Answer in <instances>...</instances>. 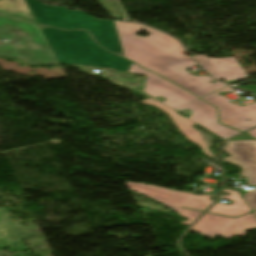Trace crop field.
I'll return each instance as SVG.
<instances>
[{"label":"crop field","instance_id":"crop-field-2","mask_svg":"<svg viewBox=\"0 0 256 256\" xmlns=\"http://www.w3.org/2000/svg\"><path fill=\"white\" fill-rule=\"evenodd\" d=\"M40 27L60 64L74 63L97 66L99 69L109 67L127 73L132 63L97 46L87 32Z\"/></svg>","mask_w":256,"mask_h":256},{"label":"crop field","instance_id":"crop-field-6","mask_svg":"<svg viewBox=\"0 0 256 256\" xmlns=\"http://www.w3.org/2000/svg\"><path fill=\"white\" fill-rule=\"evenodd\" d=\"M219 92L233 91L231 87L227 86L201 99L218 107L222 124L241 131L256 126V103L249 104L245 107L232 105L228 102L231 99L217 95Z\"/></svg>","mask_w":256,"mask_h":256},{"label":"crop field","instance_id":"crop-field-3","mask_svg":"<svg viewBox=\"0 0 256 256\" xmlns=\"http://www.w3.org/2000/svg\"><path fill=\"white\" fill-rule=\"evenodd\" d=\"M25 1L38 23L62 29L89 31L101 47L124 57L113 20H97L81 11H69L65 7L48 6L39 0Z\"/></svg>","mask_w":256,"mask_h":256},{"label":"crop field","instance_id":"crop-field-20","mask_svg":"<svg viewBox=\"0 0 256 256\" xmlns=\"http://www.w3.org/2000/svg\"><path fill=\"white\" fill-rule=\"evenodd\" d=\"M251 139L247 134L239 135L231 140Z\"/></svg>","mask_w":256,"mask_h":256},{"label":"crop field","instance_id":"crop-field-11","mask_svg":"<svg viewBox=\"0 0 256 256\" xmlns=\"http://www.w3.org/2000/svg\"><path fill=\"white\" fill-rule=\"evenodd\" d=\"M141 103L144 105H151V106L163 111L167 115H169L172 122L177 127V129L187 138V140H189L192 143H194L195 145L199 146L205 155L213 158L214 160L216 159L214 157L213 153L208 151V147L206 146L204 141L201 139V137L199 136V134L197 133L195 128L192 127L197 124H195L194 122L188 120L187 118L179 115L173 109L167 107L166 105L162 104L161 102H159L153 98H149L145 101H142Z\"/></svg>","mask_w":256,"mask_h":256},{"label":"crop field","instance_id":"crop-field-1","mask_svg":"<svg viewBox=\"0 0 256 256\" xmlns=\"http://www.w3.org/2000/svg\"><path fill=\"white\" fill-rule=\"evenodd\" d=\"M125 58L139 66L157 73L164 78L186 88L198 97L218 90L226 85L208 76H193L185 69L195 65L191 56L182 54L183 47L172 37L139 24L114 21ZM146 30L148 37L136 36Z\"/></svg>","mask_w":256,"mask_h":256},{"label":"crop field","instance_id":"crop-field-15","mask_svg":"<svg viewBox=\"0 0 256 256\" xmlns=\"http://www.w3.org/2000/svg\"><path fill=\"white\" fill-rule=\"evenodd\" d=\"M24 62L31 64L58 63L51 47L33 50L29 48L18 49Z\"/></svg>","mask_w":256,"mask_h":256},{"label":"crop field","instance_id":"crop-field-8","mask_svg":"<svg viewBox=\"0 0 256 256\" xmlns=\"http://www.w3.org/2000/svg\"><path fill=\"white\" fill-rule=\"evenodd\" d=\"M225 146L224 152L231 157L223 160L241 167V176L247 177L248 184L256 185V140L228 141Z\"/></svg>","mask_w":256,"mask_h":256},{"label":"crop field","instance_id":"crop-field-9","mask_svg":"<svg viewBox=\"0 0 256 256\" xmlns=\"http://www.w3.org/2000/svg\"><path fill=\"white\" fill-rule=\"evenodd\" d=\"M184 109H190L192 111V116L188 117L189 119L202 125L225 140L230 136L240 133L237 130L218 124L215 108L200 99L175 110L178 111Z\"/></svg>","mask_w":256,"mask_h":256},{"label":"crop field","instance_id":"crop-field-14","mask_svg":"<svg viewBox=\"0 0 256 256\" xmlns=\"http://www.w3.org/2000/svg\"><path fill=\"white\" fill-rule=\"evenodd\" d=\"M218 72L227 81L229 80H241L247 77V74L236 61L235 58H225V59H214L209 58ZM220 62V63H217Z\"/></svg>","mask_w":256,"mask_h":256},{"label":"crop field","instance_id":"crop-field-16","mask_svg":"<svg viewBox=\"0 0 256 256\" xmlns=\"http://www.w3.org/2000/svg\"><path fill=\"white\" fill-rule=\"evenodd\" d=\"M0 10L36 22L24 0H0Z\"/></svg>","mask_w":256,"mask_h":256},{"label":"crop field","instance_id":"crop-field-4","mask_svg":"<svg viewBox=\"0 0 256 256\" xmlns=\"http://www.w3.org/2000/svg\"><path fill=\"white\" fill-rule=\"evenodd\" d=\"M132 191L143 194L164 206L175 210L179 215L189 219L187 222L179 224L190 225L201 213H203L214 201L210 198L213 195H193L187 192H178L158 186L145 185L146 183L126 182Z\"/></svg>","mask_w":256,"mask_h":256},{"label":"crop field","instance_id":"crop-field-7","mask_svg":"<svg viewBox=\"0 0 256 256\" xmlns=\"http://www.w3.org/2000/svg\"><path fill=\"white\" fill-rule=\"evenodd\" d=\"M129 72L146 75L148 78L145 81L144 92L152 95L154 98L163 96L167 101L163 102L169 107L175 109L183 106L195 99L196 96L182 90L173 83L149 72L139 68L136 64H132Z\"/></svg>","mask_w":256,"mask_h":256},{"label":"crop field","instance_id":"crop-field-17","mask_svg":"<svg viewBox=\"0 0 256 256\" xmlns=\"http://www.w3.org/2000/svg\"><path fill=\"white\" fill-rule=\"evenodd\" d=\"M16 40L9 41L7 43H2L0 45V56H7V57L21 59L16 48H22V46L14 44Z\"/></svg>","mask_w":256,"mask_h":256},{"label":"crop field","instance_id":"crop-field-5","mask_svg":"<svg viewBox=\"0 0 256 256\" xmlns=\"http://www.w3.org/2000/svg\"><path fill=\"white\" fill-rule=\"evenodd\" d=\"M254 228H256V217L253 213L237 219L205 213L189 231L211 239L217 235L230 239L233 235L243 236L246 230Z\"/></svg>","mask_w":256,"mask_h":256},{"label":"crop field","instance_id":"crop-field-18","mask_svg":"<svg viewBox=\"0 0 256 256\" xmlns=\"http://www.w3.org/2000/svg\"><path fill=\"white\" fill-rule=\"evenodd\" d=\"M193 57L200 65H202L203 69L210 73L214 78L218 80L223 79L205 55H193Z\"/></svg>","mask_w":256,"mask_h":256},{"label":"crop field","instance_id":"crop-field-21","mask_svg":"<svg viewBox=\"0 0 256 256\" xmlns=\"http://www.w3.org/2000/svg\"><path fill=\"white\" fill-rule=\"evenodd\" d=\"M0 248H7L5 241L3 239V236L1 234V231H0Z\"/></svg>","mask_w":256,"mask_h":256},{"label":"crop field","instance_id":"crop-field-19","mask_svg":"<svg viewBox=\"0 0 256 256\" xmlns=\"http://www.w3.org/2000/svg\"><path fill=\"white\" fill-rule=\"evenodd\" d=\"M243 198L248 204L251 211L256 210V188L254 191L245 193Z\"/></svg>","mask_w":256,"mask_h":256},{"label":"crop field","instance_id":"crop-field-12","mask_svg":"<svg viewBox=\"0 0 256 256\" xmlns=\"http://www.w3.org/2000/svg\"><path fill=\"white\" fill-rule=\"evenodd\" d=\"M0 228L9 251H26L21 239L30 238L25 226L11 224L6 208H0Z\"/></svg>","mask_w":256,"mask_h":256},{"label":"crop field","instance_id":"crop-field-23","mask_svg":"<svg viewBox=\"0 0 256 256\" xmlns=\"http://www.w3.org/2000/svg\"><path fill=\"white\" fill-rule=\"evenodd\" d=\"M248 134H250L252 137L256 138V129L251 131V132H249Z\"/></svg>","mask_w":256,"mask_h":256},{"label":"crop field","instance_id":"crop-field-10","mask_svg":"<svg viewBox=\"0 0 256 256\" xmlns=\"http://www.w3.org/2000/svg\"><path fill=\"white\" fill-rule=\"evenodd\" d=\"M15 29L30 36L31 40H24V42L38 44L41 47H49L47 41L43 37L38 25L26 19L13 17L7 14L0 13V39L13 40L17 36L8 35V33Z\"/></svg>","mask_w":256,"mask_h":256},{"label":"crop field","instance_id":"crop-field-22","mask_svg":"<svg viewBox=\"0 0 256 256\" xmlns=\"http://www.w3.org/2000/svg\"><path fill=\"white\" fill-rule=\"evenodd\" d=\"M237 88L251 89V90L256 92V86H237Z\"/></svg>","mask_w":256,"mask_h":256},{"label":"crop field","instance_id":"crop-field-24","mask_svg":"<svg viewBox=\"0 0 256 256\" xmlns=\"http://www.w3.org/2000/svg\"><path fill=\"white\" fill-rule=\"evenodd\" d=\"M255 216H256V212H254Z\"/></svg>","mask_w":256,"mask_h":256},{"label":"crop field","instance_id":"crop-field-13","mask_svg":"<svg viewBox=\"0 0 256 256\" xmlns=\"http://www.w3.org/2000/svg\"><path fill=\"white\" fill-rule=\"evenodd\" d=\"M222 191L228 192L230 195H220V198L232 200L234 203L232 205H222L217 202L208 212L232 217H238L250 212L239 192L229 189H223Z\"/></svg>","mask_w":256,"mask_h":256}]
</instances>
